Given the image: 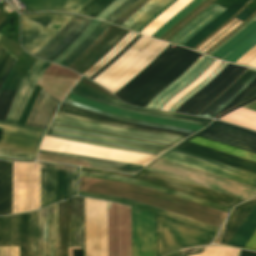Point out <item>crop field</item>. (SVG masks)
Wrapping results in <instances>:
<instances>
[{
  "label": "crop field",
  "instance_id": "obj_38",
  "mask_svg": "<svg viewBox=\"0 0 256 256\" xmlns=\"http://www.w3.org/2000/svg\"><path fill=\"white\" fill-rule=\"evenodd\" d=\"M160 0H149L143 7H141L136 13H134L130 18H128L121 26L128 28L133 24L139 17H141L145 12L156 5Z\"/></svg>",
  "mask_w": 256,
  "mask_h": 256
},
{
  "label": "crop field",
  "instance_id": "obj_45",
  "mask_svg": "<svg viewBox=\"0 0 256 256\" xmlns=\"http://www.w3.org/2000/svg\"><path fill=\"white\" fill-rule=\"evenodd\" d=\"M256 85V79L247 87L245 88L226 108H224L220 113L224 112L225 110L229 109L230 107L234 106L242 97H244L254 86ZM219 113V114H220ZM218 114V115H219ZM217 116V115H216ZM215 116V117H216Z\"/></svg>",
  "mask_w": 256,
  "mask_h": 256
},
{
  "label": "crop field",
  "instance_id": "obj_15",
  "mask_svg": "<svg viewBox=\"0 0 256 256\" xmlns=\"http://www.w3.org/2000/svg\"><path fill=\"white\" fill-rule=\"evenodd\" d=\"M70 92L80 95L82 97L100 102V103L112 105L120 109L131 111V112L148 114L156 117L173 119V120H178L183 122H189V123H194L202 126H205L207 123L211 121V119H206V118H198V117H191V116H184V115H178V114H172V113H166V112H160V111L135 108L133 106H129L124 103L111 100L105 96H102L78 84H76Z\"/></svg>",
  "mask_w": 256,
  "mask_h": 256
},
{
  "label": "crop field",
  "instance_id": "obj_2",
  "mask_svg": "<svg viewBox=\"0 0 256 256\" xmlns=\"http://www.w3.org/2000/svg\"><path fill=\"white\" fill-rule=\"evenodd\" d=\"M49 62L40 59L25 75L11 105L0 136V157L34 161L36 152L46 130L17 124L25 105Z\"/></svg>",
  "mask_w": 256,
  "mask_h": 256
},
{
  "label": "crop field",
  "instance_id": "obj_37",
  "mask_svg": "<svg viewBox=\"0 0 256 256\" xmlns=\"http://www.w3.org/2000/svg\"><path fill=\"white\" fill-rule=\"evenodd\" d=\"M171 0H162L155 7L145 13L140 19H138L129 29L134 31L138 30L144 23H146L158 10H160L163 6H165Z\"/></svg>",
  "mask_w": 256,
  "mask_h": 256
},
{
  "label": "crop field",
  "instance_id": "obj_10",
  "mask_svg": "<svg viewBox=\"0 0 256 256\" xmlns=\"http://www.w3.org/2000/svg\"><path fill=\"white\" fill-rule=\"evenodd\" d=\"M246 69L247 67L229 64L204 88L186 100L175 112L196 115L229 87Z\"/></svg>",
  "mask_w": 256,
  "mask_h": 256
},
{
  "label": "crop field",
  "instance_id": "obj_22",
  "mask_svg": "<svg viewBox=\"0 0 256 256\" xmlns=\"http://www.w3.org/2000/svg\"><path fill=\"white\" fill-rule=\"evenodd\" d=\"M31 12L59 10L77 13L90 0H20Z\"/></svg>",
  "mask_w": 256,
  "mask_h": 256
},
{
  "label": "crop field",
  "instance_id": "obj_1",
  "mask_svg": "<svg viewBox=\"0 0 256 256\" xmlns=\"http://www.w3.org/2000/svg\"><path fill=\"white\" fill-rule=\"evenodd\" d=\"M80 175L132 184L227 212H229L232 205L243 200L146 170L137 176H132L81 168ZM78 195L132 205L157 214L158 254L160 255L189 246L208 244L218 229V226L125 198L82 191H79Z\"/></svg>",
  "mask_w": 256,
  "mask_h": 256
},
{
  "label": "crop field",
  "instance_id": "obj_51",
  "mask_svg": "<svg viewBox=\"0 0 256 256\" xmlns=\"http://www.w3.org/2000/svg\"><path fill=\"white\" fill-rule=\"evenodd\" d=\"M80 82H82V83H84V84H86V85H89V86H91V87H93V88H95V89H97V90H100V91H102V92H104V93H106V94H109V93L105 92L104 90H102L101 88H99V87H97V86H95V85H93V84H91V83H89V82H87V81H85V80H83V79H81ZM109 95H110V94H109ZM111 96H112V95H111ZM113 97H114V96H113Z\"/></svg>",
  "mask_w": 256,
  "mask_h": 256
},
{
  "label": "crop field",
  "instance_id": "obj_23",
  "mask_svg": "<svg viewBox=\"0 0 256 256\" xmlns=\"http://www.w3.org/2000/svg\"><path fill=\"white\" fill-rule=\"evenodd\" d=\"M248 0H236L231 6H229L222 14L211 21L207 26L200 30L197 34L191 37L183 45L192 49L202 39L208 36L215 28L225 22L230 16H232L238 9H240Z\"/></svg>",
  "mask_w": 256,
  "mask_h": 256
},
{
  "label": "crop field",
  "instance_id": "obj_36",
  "mask_svg": "<svg viewBox=\"0 0 256 256\" xmlns=\"http://www.w3.org/2000/svg\"><path fill=\"white\" fill-rule=\"evenodd\" d=\"M14 57L4 48L0 45V81L4 75V73L7 71V69L10 67V65L12 64V62L14 61ZM16 60V59H15ZM15 62V61H14ZM13 62V64H14ZM12 64V65H13ZM11 65V67H12ZM10 67V68H11ZM10 68L8 69V71L5 73L1 83H0V88L3 84V81L6 77V75L8 74Z\"/></svg>",
  "mask_w": 256,
  "mask_h": 256
},
{
  "label": "crop field",
  "instance_id": "obj_35",
  "mask_svg": "<svg viewBox=\"0 0 256 256\" xmlns=\"http://www.w3.org/2000/svg\"><path fill=\"white\" fill-rule=\"evenodd\" d=\"M113 1L114 0H92L78 13L96 18L98 14Z\"/></svg>",
  "mask_w": 256,
  "mask_h": 256
},
{
  "label": "crop field",
  "instance_id": "obj_5",
  "mask_svg": "<svg viewBox=\"0 0 256 256\" xmlns=\"http://www.w3.org/2000/svg\"><path fill=\"white\" fill-rule=\"evenodd\" d=\"M46 135L80 141L89 144L120 148L156 155L163 153L164 151L175 145L174 143L80 128L53 121Z\"/></svg>",
  "mask_w": 256,
  "mask_h": 256
},
{
  "label": "crop field",
  "instance_id": "obj_56",
  "mask_svg": "<svg viewBox=\"0 0 256 256\" xmlns=\"http://www.w3.org/2000/svg\"><path fill=\"white\" fill-rule=\"evenodd\" d=\"M0 13H1V11H0Z\"/></svg>",
  "mask_w": 256,
  "mask_h": 256
},
{
  "label": "crop field",
  "instance_id": "obj_7",
  "mask_svg": "<svg viewBox=\"0 0 256 256\" xmlns=\"http://www.w3.org/2000/svg\"><path fill=\"white\" fill-rule=\"evenodd\" d=\"M73 16L58 13L21 15L23 47L34 55L52 40Z\"/></svg>",
  "mask_w": 256,
  "mask_h": 256
},
{
  "label": "crop field",
  "instance_id": "obj_49",
  "mask_svg": "<svg viewBox=\"0 0 256 256\" xmlns=\"http://www.w3.org/2000/svg\"><path fill=\"white\" fill-rule=\"evenodd\" d=\"M254 99H256V97H254V98H252V99H250V100H248V101H246V102H244V103H242V104L236 106L235 108H233V109H231V110H229V111H227V112L222 113V114L219 115L216 119H218V118L224 116L225 114H227V113H229V112H231V111H233V110H235V109L241 107L242 105H244V104H246V103H248V102H250V101H252V100H254Z\"/></svg>",
  "mask_w": 256,
  "mask_h": 256
},
{
  "label": "crop field",
  "instance_id": "obj_34",
  "mask_svg": "<svg viewBox=\"0 0 256 256\" xmlns=\"http://www.w3.org/2000/svg\"><path fill=\"white\" fill-rule=\"evenodd\" d=\"M256 44V33L246 39L232 52L226 55L222 60L235 63L246 51L252 48Z\"/></svg>",
  "mask_w": 256,
  "mask_h": 256
},
{
  "label": "crop field",
  "instance_id": "obj_17",
  "mask_svg": "<svg viewBox=\"0 0 256 256\" xmlns=\"http://www.w3.org/2000/svg\"><path fill=\"white\" fill-rule=\"evenodd\" d=\"M175 149L256 173V163L254 162L202 147L193 143L184 141L176 146Z\"/></svg>",
  "mask_w": 256,
  "mask_h": 256
},
{
  "label": "crop field",
  "instance_id": "obj_26",
  "mask_svg": "<svg viewBox=\"0 0 256 256\" xmlns=\"http://www.w3.org/2000/svg\"><path fill=\"white\" fill-rule=\"evenodd\" d=\"M11 162L0 161V215L10 214Z\"/></svg>",
  "mask_w": 256,
  "mask_h": 256
},
{
  "label": "crop field",
  "instance_id": "obj_13",
  "mask_svg": "<svg viewBox=\"0 0 256 256\" xmlns=\"http://www.w3.org/2000/svg\"><path fill=\"white\" fill-rule=\"evenodd\" d=\"M37 256H58V204L37 211Z\"/></svg>",
  "mask_w": 256,
  "mask_h": 256
},
{
  "label": "crop field",
  "instance_id": "obj_44",
  "mask_svg": "<svg viewBox=\"0 0 256 256\" xmlns=\"http://www.w3.org/2000/svg\"><path fill=\"white\" fill-rule=\"evenodd\" d=\"M125 0H116L109 7H107L97 18L104 20L109 16L115 9H117Z\"/></svg>",
  "mask_w": 256,
  "mask_h": 256
},
{
  "label": "crop field",
  "instance_id": "obj_27",
  "mask_svg": "<svg viewBox=\"0 0 256 256\" xmlns=\"http://www.w3.org/2000/svg\"><path fill=\"white\" fill-rule=\"evenodd\" d=\"M243 107L256 110V101L249 103ZM243 107L237 109L234 112H231L230 114L220 119L256 130V111L249 110Z\"/></svg>",
  "mask_w": 256,
  "mask_h": 256
},
{
  "label": "crop field",
  "instance_id": "obj_42",
  "mask_svg": "<svg viewBox=\"0 0 256 256\" xmlns=\"http://www.w3.org/2000/svg\"><path fill=\"white\" fill-rule=\"evenodd\" d=\"M140 35H136L125 47H123L110 61H108L102 68H100L94 75H92L89 79L95 78L99 73H101L107 66H109L116 58H118L126 49H128L138 38Z\"/></svg>",
  "mask_w": 256,
  "mask_h": 256
},
{
  "label": "crop field",
  "instance_id": "obj_4",
  "mask_svg": "<svg viewBox=\"0 0 256 256\" xmlns=\"http://www.w3.org/2000/svg\"><path fill=\"white\" fill-rule=\"evenodd\" d=\"M56 114L65 116V117L82 120V121L133 128V129H137V130H141V131L166 134V135L182 137V138H185V137L191 135L192 133H194V131H190V130H186V129L154 125V124L144 123V122L116 116L113 114L98 111L91 107H87V106H83V105H79V104L70 102L66 99L64 100V102L62 103V105L60 106V108L58 109ZM57 115L54 116V118H53L54 121H58V122H62V123L70 124V125L106 130V131H111V132H115V133H119V134H125V135L137 136V137L171 141V142H175V143L182 140V138H176V137L154 134V133L141 132V131L127 129V128H121V127H114V126H108V125H102V124L82 122V121L69 119V118H65V117H61V116H57Z\"/></svg>",
  "mask_w": 256,
  "mask_h": 256
},
{
  "label": "crop field",
  "instance_id": "obj_20",
  "mask_svg": "<svg viewBox=\"0 0 256 256\" xmlns=\"http://www.w3.org/2000/svg\"><path fill=\"white\" fill-rule=\"evenodd\" d=\"M60 101L42 89L25 125L46 129Z\"/></svg>",
  "mask_w": 256,
  "mask_h": 256
},
{
  "label": "crop field",
  "instance_id": "obj_8",
  "mask_svg": "<svg viewBox=\"0 0 256 256\" xmlns=\"http://www.w3.org/2000/svg\"><path fill=\"white\" fill-rule=\"evenodd\" d=\"M59 247L60 256L83 249L82 198L73 197L72 204L59 202Z\"/></svg>",
  "mask_w": 256,
  "mask_h": 256
},
{
  "label": "crop field",
  "instance_id": "obj_32",
  "mask_svg": "<svg viewBox=\"0 0 256 256\" xmlns=\"http://www.w3.org/2000/svg\"><path fill=\"white\" fill-rule=\"evenodd\" d=\"M202 1L203 0L191 1L187 7H185L179 13H177L174 17H172L167 23H165L161 28H159L152 36L159 38L161 35H163L167 30H169L172 26H174L179 20H181L184 16H186L191 10H193Z\"/></svg>",
  "mask_w": 256,
  "mask_h": 256
},
{
  "label": "crop field",
  "instance_id": "obj_55",
  "mask_svg": "<svg viewBox=\"0 0 256 256\" xmlns=\"http://www.w3.org/2000/svg\"><path fill=\"white\" fill-rule=\"evenodd\" d=\"M0 37H1V34H0Z\"/></svg>",
  "mask_w": 256,
  "mask_h": 256
},
{
  "label": "crop field",
  "instance_id": "obj_14",
  "mask_svg": "<svg viewBox=\"0 0 256 256\" xmlns=\"http://www.w3.org/2000/svg\"><path fill=\"white\" fill-rule=\"evenodd\" d=\"M92 21L75 15L64 29L35 56L52 61L62 53Z\"/></svg>",
  "mask_w": 256,
  "mask_h": 256
},
{
  "label": "crop field",
  "instance_id": "obj_50",
  "mask_svg": "<svg viewBox=\"0 0 256 256\" xmlns=\"http://www.w3.org/2000/svg\"><path fill=\"white\" fill-rule=\"evenodd\" d=\"M255 95H256V87L254 89H252L239 103H241V102H243V101H245V100H247V99H249V98H251Z\"/></svg>",
  "mask_w": 256,
  "mask_h": 256
},
{
  "label": "crop field",
  "instance_id": "obj_11",
  "mask_svg": "<svg viewBox=\"0 0 256 256\" xmlns=\"http://www.w3.org/2000/svg\"><path fill=\"white\" fill-rule=\"evenodd\" d=\"M160 158L177 162L186 166H190L256 187V174L254 173L240 170L182 151L172 149Z\"/></svg>",
  "mask_w": 256,
  "mask_h": 256
},
{
  "label": "crop field",
  "instance_id": "obj_6",
  "mask_svg": "<svg viewBox=\"0 0 256 256\" xmlns=\"http://www.w3.org/2000/svg\"><path fill=\"white\" fill-rule=\"evenodd\" d=\"M0 246H35L34 212L0 217ZM0 256H19V247H0ZM20 256H35V247H20Z\"/></svg>",
  "mask_w": 256,
  "mask_h": 256
},
{
  "label": "crop field",
  "instance_id": "obj_30",
  "mask_svg": "<svg viewBox=\"0 0 256 256\" xmlns=\"http://www.w3.org/2000/svg\"><path fill=\"white\" fill-rule=\"evenodd\" d=\"M109 26V24L101 22L99 26L93 31V33L81 43L67 58H65L60 65L67 67L74 60H76L80 54L94 41L96 40L104 30Z\"/></svg>",
  "mask_w": 256,
  "mask_h": 256
},
{
  "label": "crop field",
  "instance_id": "obj_24",
  "mask_svg": "<svg viewBox=\"0 0 256 256\" xmlns=\"http://www.w3.org/2000/svg\"><path fill=\"white\" fill-rule=\"evenodd\" d=\"M255 205L256 200L243 202L235 206L219 244L227 245Z\"/></svg>",
  "mask_w": 256,
  "mask_h": 256
},
{
  "label": "crop field",
  "instance_id": "obj_47",
  "mask_svg": "<svg viewBox=\"0 0 256 256\" xmlns=\"http://www.w3.org/2000/svg\"><path fill=\"white\" fill-rule=\"evenodd\" d=\"M244 248L256 250V232L253 234V236L250 238Z\"/></svg>",
  "mask_w": 256,
  "mask_h": 256
},
{
  "label": "crop field",
  "instance_id": "obj_33",
  "mask_svg": "<svg viewBox=\"0 0 256 256\" xmlns=\"http://www.w3.org/2000/svg\"><path fill=\"white\" fill-rule=\"evenodd\" d=\"M100 22L93 20L88 27L79 35V37L72 43L60 56L53 62L59 64L66 56H68L81 42H83L92 31L98 26Z\"/></svg>",
  "mask_w": 256,
  "mask_h": 256
},
{
  "label": "crop field",
  "instance_id": "obj_21",
  "mask_svg": "<svg viewBox=\"0 0 256 256\" xmlns=\"http://www.w3.org/2000/svg\"><path fill=\"white\" fill-rule=\"evenodd\" d=\"M225 8L213 3L206 10H204L195 19L184 26L176 35H174L169 41L182 45L191 36L213 20L216 16L222 13Z\"/></svg>",
  "mask_w": 256,
  "mask_h": 256
},
{
  "label": "crop field",
  "instance_id": "obj_39",
  "mask_svg": "<svg viewBox=\"0 0 256 256\" xmlns=\"http://www.w3.org/2000/svg\"><path fill=\"white\" fill-rule=\"evenodd\" d=\"M147 1L148 0H139V1H137L125 13H123L117 20H115L113 23L120 25L128 17H130L134 12H136L141 6H143Z\"/></svg>",
  "mask_w": 256,
  "mask_h": 256
},
{
  "label": "crop field",
  "instance_id": "obj_54",
  "mask_svg": "<svg viewBox=\"0 0 256 256\" xmlns=\"http://www.w3.org/2000/svg\"><path fill=\"white\" fill-rule=\"evenodd\" d=\"M186 95H187V94H186ZM186 95H185V96H186ZM182 98H183V97H182ZM182 98H181V99H182ZM181 99H180V100H181Z\"/></svg>",
  "mask_w": 256,
  "mask_h": 256
},
{
  "label": "crop field",
  "instance_id": "obj_48",
  "mask_svg": "<svg viewBox=\"0 0 256 256\" xmlns=\"http://www.w3.org/2000/svg\"><path fill=\"white\" fill-rule=\"evenodd\" d=\"M253 12V10H251V9H249V8H246L242 13H240L238 16H237V18H239V19H241V20H245L251 13ZM218 37V36H217ZM214 40V39H213ZM212 40V41H213ZM210 43V42H209ZM208 43V44H209ZM207 44V45H208ZM204 48V47H203ZM202 48V49H203Z\"/></svg>",
  "mask_w": 256,
  "mask_h": 256
},
{
  "label": "crop field",
  "instance_id": "obj_52",
  "mask_svg": "<svg viewBox=\"0 0 256 256\" xmlns=\"http://www.w3.org/2000/svg\"><path fill=\"white\" fill-rule=\"evenodd\" d=\"M240 256H256V253L247 252V251L242 250Z\"/></svg>",
  "mask_w": 256,
  "mask_h": 256
},
{
  "label": "crop field",
  "instance_id": "obj_57",
  "mask_svg": "<svg viewBox=\"0 0 256 256\" xmlns=\"http://www.w3.org/2000/svg\"><path fill=\"white\" fill-rule=\"evenodd\" d=\"M64 154V153H63Z\"/></svg>",
  "mask_w": 256,
  "mask_h": 256
},
{
  "label": "crop field",
  "instance_id": "obj_43",
  "mask_svg": "<svg viewBox=\"0 0 256 256\" xmlns=\"http://www.w3.org/2000/svg\"><path fill=\"white\" fill-rule=\"evenodd\" d=\"M137 0H127L125 1L117 10H115L109 17L105 19L112 23L121 13H123L128 7H130Z\"/></svg>",
  "mask_w": 256,
  "mask_h": 256
},
{
  "label": "crop field",
  "instance_id": "obj_9",
  "mask_svg": "<svg viewBox=\"0 0 256 256\" xmlns=\"http://www.w3.org/2000/svg\"><path fill=\"white\" fill-rule=\"evenodd\" d=\"M76 167L41 164L40 208L75 195Z\"/></svg>",
  "mask_w": 256,
  "mask_h": 256
},
{
  "label": "crop field",
  "instance_id": "obj_16",
  "mask_svg": "<svg viewBox=\"0 0 256 256\" xmlns=\"http://www.w3.org/2000/svg\"><path fill=\"white\" fill-rule=\"evenodd\" d=\"M256 78V70L248 68L227 90L197 115L213 118Z\"/></svg>",
  "mask_w": 256,
  "mask_h": 256
},
{
  "label": "crop field",
  "instance_id": "obj_18",
  "mask_svg": "<svg viewBox=\"0 0 256 256\" xmlns=\"http://www.w3.org/2000/svg\"><path fill=\"white\" fill-rule=\"evenodd\" d=\"M213 60V58H209L206 56L193 70L188 69L176 81H174L163 91L157 94L146 107L151 109H159L175 93H177L187 84L192 82L196 77H198Z\"/></svg>",
  "mask_w": 256,
  "mask_h": 256
},
{
  "label": "crop field",
  "instance_id": "obj_46",
  "mask_svg": "<svg viewBox=\"0 0 256 256\" xmlns=\"http://www.w3.org/2000/svg\"><path fill=\"white\" fill-rule=\"evenodd\" d=\"M256 19V16L253 17L251 20H249L240 30H238L234 35H232L229 39H227L225 42H223L221 45H219L214 51H212L209 56H211L213 53H215L219 48H221L224 44H226L230 39H232L234 36H236L238 33H240L247 25H249L251 22H253Z\"/></svg>",
  "mask_w": 256,
  "mask_h": 256
},
{
  "label": "crop field",
  "instance_id": "obj_28",
  "mask_svg": "<svg viewBox=\"0 0 256 256\" xmlns=\"http://www.w3.org/2000/svg\"><path fill=\"white\" fill-rule=\"evenodd\" d=\"M256 230V206L252 210V212L249 214L247 219L244 221V223L241 225L239 230L236 232L234 237L231 239V241L228 243L229 246H235L243 248V246L246 244V242L249 240L251 235Z\"/></svg>",
  "mask_w": 256,
  "mask_h": 256
},
{
  "label": "crop field",
  "instance_id": "obj_19",
  "mask_svg": "<svg viewBox=\"0 0 256 256\" xmlns=\"http://www.w3.org/2000/svg\"><path fill=\"white\" fill-rule=\"evenodd\" d=\"M68 100L75 101V102H78V103H81L84 105H88V106L94 107L98 110L106 111V112L117 114L120 116L134 118V119L145 121V122H153V123L162 124V125H166V126L187 128V129H191V130H195V131L203 128L202 126H198V125H194V124H188V123H183V122H178V121L155 118V117L142 115V114L126 112V111L119 110V109H116V108H113L110 106H106V105H103V104H100L97 102L90 101L88 99L82 98L80 96H77V95H74L71 93L68 97Z\"/></svg>",
  "mask_w": 256,
  "mask_h": 256
},
{
  "label": "crop field",
  "instance_id": "obj_31",
  "mask_svg": "<svg viewBox=\"0 0 256 256\" xmlns=\"http://www.w3.org/2000/svg\"><path fill=\"white\" fill-rule=\"evenodd\" d=\"M256 32V20L246 27L240 34L230 40L226 45H224L220 50H218L213 56L222 58L228 54L233 48L243 42L246 38Z\"/></svg>",
  "mask_w": 256,
  "mask_h": 256
},
{
  "label": "crop field",
  "instance_id": "obj_29",
  "mask_svg": "<svg viewBox=\"0 0 256 256\" xmlns=\"http://www.w3.org/2000/svg\"><path fill=\"white\" fill-rule=\"evenodd\" d=\"M39 152H41V151H39ZM42 153H47V152H42ZM48 154H53V153H48ZM54 155H61V156L85 159L91 163L92 167L102 168V169H111V170H119V171H125V172H130V173H136L138 170H140L142 168L140 166H134V165L112 162V161L97 160V159H90V158H83V157L62 155V154H54Z\"/></svg>",
  "mask_w": 256,
  "mask_h": 256
},
{
  "label": "crop field",
  "instance_id": "obj_53",
  "mask_svg": "<svg viewBox=\"0 0 256 256\" xmlns=\"http://www.w3.org/2000/svg\"><path fill=\"white\" fill-rule=\"evenodd\" d=\"M6 23H7V20L4 21V22L0 25V30H1V28H2Z\"/></svg>",
  "mask_w": 256,
  "mask_h": 256
},
{
  "label": "crop field",
  "instance_id": "obj_25",
  "mask_svg": "<svg viewBox=\"0 0 256 256\" xmlns=\"http://www.w3.org/2000/svg\"><path fill=\"white\" fill-rule=\"evenodd\" d=\"M21 78L18 77L15 69V65L11 68L2 89L5 90H13L16 91L20 82ZM15 92L12 91H0V120L4 121L6 117V113L11 105L12 98Z\"/></svg>",
  "mask_w": 256,
  "mask_h": 256
},
{
  "label": "crop field",
  "instance_id": "obj_3",
  "mask_svg": "<svg viewBox=\"0 0 256 256\" xmlns=\"http://www.w3.org/2000/svg\"><path fill=\"white\" fill-rule=\"evenodd\" d=\"M200 56L197 52L170 44L151 65L114 95L131 105L145 107ZM140 102L144 105L139 106Z\"/></svg>",
  "mask_w": 256,
  "mask_h": 256
},
{
  "label": "crop field",
  "instance_id": "obj_40",
  "mask_svg": "<svg viewBox=\"0 0 256 256\" xmlns=\"http://www.w3.org/2000/svg\"><path fill=\"white\" fill-rule=\"evenodd\" d=\"M228 64L227 63H224L210 78H208L205 82H203L201 85H199L195 90H193L191 93H189L186 97H184L180 102H178L170 111L171 112H174L177 107L182 103L184 102L187 98H189L191 95H193L194 93H196L198 90H200L203 86H205L214 76H216L223 68H225Z\"/></svg>",
  "mask_w": 256,
  "mask_h": 256
},
{
  "label": "crop field",
  "instance_id": "obj_41",
  "mask_svg": "<svg viewBox=\"0 0 256 256\" xmlns=\"http://www.w3.org/2000/svg\"><path fill=\"white\" fill-rule=\"evenodd\" d=\"M224 248L221 246H207L202 253L191 256H222Z\"/></svg>",
  "mask_w": 256,
  "mask_h": 256
},
{
  "label": "crop field",
  "instance_id": "obj_12",
  "mask_svg": "<svg viewBox=\"0 0 256 256\" xmlns=\"http://www.w3.org/2000/svg\"><path fill=\"white\" fill-rule=\"evenodd\" d=\"M197 135L256 153V132L227 123L216 121Z\"/></svg>",
  "mask_w": 256,
  "mask_h": 256
}]
</instances>
